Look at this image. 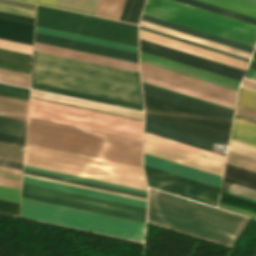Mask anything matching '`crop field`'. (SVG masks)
<instances>
[{
	"mask_svg": "<svg viewBox=\"0 0 256 256\" xmlns=\"http://www.w3.org/2000/svg\"><path fill=\"white\" fill-rule=\"evenodd\" d=\"M0 141L24 146L25 139L14 137V136L0 134Z\"/></svg>",
	"mask_w": 256,
	"mask_h": 256,
	"instance_id": "obj_53",
	"label": "crop field"
},
{
	"mask_svg": "<svg viewBox=\"0 0 256 256\" xmlns=\"http://www.w3.org/2000/svg\"><path fill=\"white\" fill-rule=\"evenodd\" d=\"M250 68L256 69V61H251Z\"/></svg>",
	"mask_w": 256,
	"mask_h": 256,
	"instance_id": "obj_67",
	"label": "crop field"
},
{
	"mask_svg": "<svg viewBox=\"0 0 256 256\" xmlns=\"http://www.w3.org/2000/svg\"><path fill=\"white\" fill-rule=\"evenodd\" d=\"M144 144L223 168L224 163L144 138Z\"/></svg>",
	"mask_w": 256,
	"mask_h": 256,
	"instance_id": "obj_32",
	"label": "crop field"
},
{
	"mask_svg": "<svg viewBox=\"0 0 256 256\" xmlns=\"http://www.w3.org/2000/svg\"><path fill=\"white\" fill-rule=\"evenodd\" d=\"M144 137L148 138V139L158 141V142H161V143H165V144H168V145H171V146H174V147H178V148L190 151V152H194V153H197V154H200V155H203V156H207V157H210V158H213V159H216V160H220V161H223V162L225 161L224 156L217 155V154H214V153H211V152H208V151H204V150H201V149H198V148H195V147H191V146H188V145H185V144H182V143H179V142H175V141H172V140H169V139H166V138H162V137H159V136H156V135H153V134H149V133L145 132Z\"/></svg>",
	"mask_w": 256,
	"mask_h": 256,
	"instance_id": "obj_34",
	"label": "crop field"
},
{
	"mask_svg": "<svg viewBox=\"0 0 256 256\" xmlns=\"http://www.w3.org/2000/svg\"><path fill=\"white\" fill-rule=\"evenodd\" d=\"M237 104L256 110V92L240 88Z\"/></svg>",
	"mask_w": 256,
	"mask_h": 256,
	"instance_id": "obj_45",
	"label": "crop field"
},
{
	"mask_svg": "<svg viewBox=\"0 0 256 256\" xmlns=\"http://www.w3.org/2000/svg\"><path fill=\"white\" fill-rule=\"evenodd\" d=\"M143 1L125 0L119 20L137 24Z\"/></svg>",
	"mask_w": 256,
	"mask_h": 256,
	"instance_id": "obj_36",
	"label": "crop field"
},
{
	"mask_svg": "<svg viewBox=\"0 0 256 256\" xmlns=\"http://www.w3.org/2000/svg\"><path fill=\"white\" fill-rule=\"evenodd\" d=\"M140 24L142 25H145V26H149V27H152V28H155V29H159V30H162V31H165V32H168V33H172V34H175V35H178V36H181V37H185V38H188V39H191V40H195V41H198V42H201V43H204V44H208V45H211V46H214V47H217V48H221V49H224V50H227V51H231V52H234V53H237V54H240V55H244V56H247V57H250V53H247V52H243V51H240V50H237V49H234V48H230V47H227V46H224V45H220V44H217V43H214V42H211V41H207V40H204V39H201V38H198V37H194V36H191V35H188V34H185V33H181V32H178V31H175V30H172V29H168V28H165V27H162V26H158V25H155V24H152V23H149V22H145V21H140Z\"/></svg>",
	"mask_w": 256,
	"mask_h": 256,
	"instance_id": "obj_33",
	"label": "crop field"
},
{
	"mask_svg": "<svg viewBox=\"0 0 256 256\" xmlns=\"http://www.w3.org/2000/svg\"><path fill=\"white\" fill-rule=\"evenodd\" d=\"M143 82L234 109L236 91L140 62Z\"/></svg>",
	"mask_w": 256,
	"mask_h": 256,
	"instance_id": "obj_10",
	"label": "crop field"
},
{
	"mask_svg": "<svg viewBox=\"0 0 256 256\" xmlns=\"http://www.w3.org/2000/svg\"><path fill=\"white\" fill-rule=\"evenodd\" d=\"M0 11L23 15V16L32 17V18H34V12H35L33 10L9 6L5 4H0Z\"/></svg>",
	"mask_w": 256,
	"mask_h": 256,
	"instance_id": "obj_47",
	"label": "crop field"
},
{
	"mask_svg": "<svg viewBox=\"0 0 256 256\" xmlns=\"http://www.w3.org/2000/svg\"><path fill=\"white\" fill-rule=\"evenodd\" d=\"M141 29H144V30H148V31H151V32H154V33H158V34H161V35H164V36H168V37H171V38H174V39H177V40H181V41H184V42H187V43H191V44H194V45H197V46H201V47H204V48H207V49H211V50H214V51H217V52H220V53H224V54H227V55H230V56H234V57H237V58H240V59H244V60H247L248 59H245V58H242V57H239V56H235V55H232V54H229V53H225V52H222V51H219V50H216V49H212V48H209V47H206V46H202V45H199V44H196V43H192V42H189V41H186V40H183V39H179V38H176V37H173V36H169V35H166V34H163V33H160V32H156V31H153V30H150V29H146V28H143V27H140Z\"/></svg>",
	"mask_w": 256,
	"mask_h": 256,
	"instance_id": "obj_54",
	"label": "crop field"
},
{
	"mask_svg": "<svg viewBox=\"0 0 256 256\" xmlns=\"http://www.w3.org/2000/svg\"><path fill=\"white\" fill-rule=\"evenodd\" d=\"M0 3H5V4H10V5H14V6H19V7H24V8L35 10V5L27 4V3H22V2H18V1L0 0Z\"/></svg>",
	"mask_w": 256,
	"mask_h": 256,
	"instance_id": "obj_59",
	"label": "crop field"
},
{
	"mask_svg": "<svg viewBox=\"0 0 256 256\" xmlns=\"http://www.w3.org/2000/svg\"><path fill=\"white\" fill-rule=\"evenodd\" d=\"M245 76L249 77V78L256 79V70L249 68Z\"/></svg>",
	"mask_w": 256,
	"mask_h": 256,
	"instance_id": "obj_63",
	"label": "crop field"
},
{
	"mask_svg": "<svg viewBox=\"0 0 256 256\" xmlns=\"http://www.w3.org/2000/svg\"><path fill=\"white\" fill-rule=\"evenodd\" d=\"M35 38L138 60V54L35 32Z\"/></svg>",
	"mask_w": 256,
	"mask_h": 256,
	"instance_id": "obj_22",
	"label": "crop field"
},
{
	"mask_svg": "<svg viewBox=\"0 0 256 256\" xmlns=\"http://www.w3.org/2000/svg\"><path fill=\"white\" fill-rule=\"evenodd\" d=\"M236 117V116H235ZM236 118H240V117H236ZM240 119H243V118H240ZM244 120H246V119H244ZM247 121H250V120H247ZM250 122H253V121H250ZM254 123H256V122H254Z\"/></svg>",
	"mask_w": 256,
	"mask_h": 256,
	"instance_id": "obj_70",
	"label": "crop field"
},
{
	"mask_svg": "<svg viewBox=\"0 0 256 256\" xmlns=\"http://www.w3.org/2000/svg\"><path fill=\"white\" fill-rule=\"evenodd\" d=\"M143 94L151 96L163 101H167L179 106H183L192 110H196L208 115H212L224 120L232 122L233 113L225 111L219 108H215L206 104H202L196 101H192L183 97H179L173 94H169L160 90H156L150 87L142 85ZM144 104L146 107L153 108L159 111H163L169 114H173L179 117H183L192 121H196L202 124H206L212 127H216L222 130L229 131L231 130V122L224 121L212 116H208L196 111H192L183 107H179L167 102H163L151 97L144 96ZM145 107V116L150 119H154L160 122H164L170 125H174L180 128H184L190 131H194L200 134H204L210 137H214L220 140L227 141L229 140V132L222 131L216 128H212L206 125H202L196 122H192L183 118H179L173 115H169L163 112H159L153 109Z\"/></svg>",
	"mask_w": 256,
	"mask_h": 256,
	"instance_id": "obj_4",
	"label": "crop field"
},
{
	"mask_svg": "<svg viewBox=\"0 0 256 256\" xmlns=\"http://www.w3.org/2000/svg\"><path fill=\"white\" fill-rule=\"evenodd\" d=\"M27 143L142 167V146L30 124Z\"/></svg>",
	"mask_w": 256,
	"mask_h": 256,
	"instance_id": "obj_5",
	"label": "crop field"
},
{
	"mask_svg": "<svg viewBox=\"0 0 256 256\" xmlns=\"http://www.w3.org/2000/svg\"><path fill=\"white\" fill-rule=\"evenodd\" d=\"M0 16L8 17V18H13V19H18V20H22V21H27V22H32V23H34V19H32V18H27V17H23V16H18V15L3 13V12H0Z\"/></svg>",
	"mask_w": 256,
	"mask_h": 256,
	"instance_id": "obj_60",
	"label": "crop field"
},
{
	"mask_svg": "<svg viewBox=\"0 0 256 256\" xmlns=\"http://www.w3.org/2000/svg\"><path fill=\"white\" fill-rule=\"evenodd\" d=\"M176 1L183 2L186 4L192 5V6H196V7L202 8V9H206V10H209V11H212L215 13H219V14H222V15H225L228 17H232V18L256 25V18H253V17H249L246 15L239 14V13H236L233 11H229V10H226L223 8H219V7H216L213 5L202 3V2H199L196 0H176Z\"/></svg>",
	"mask_w": 256,
	"mask_h": 256,
	"instance_id": "obj_31",
	"label": "crop field"
},
{
	"mask_svg": "<svg viewBox=\"0 0 256 256\" xmlns=\"http://www.w3.org/2000/svg\"><path fill=\"white\" fill-rule=\"evenodd\" d=\"M0 95L28 101L29 89L0 83Z\"/></svg>",
	"mask_w": 256,
	"mask_h": 256,
	"instance_id": "obj_44",
	"label": "crop field"
},
{
	"mask_svg": "<svg viewBox=\"0 0 256 256\" xmlns=\"http://www.w3.org/2000/svg\"><path fill=\"white\" fill-rule=\"evenodd\" d=\"M24 147L0 142V158L23 163Z\"/></svg>",
	"mask_w": 256,
	"mask_h": 256,
	"instance_id": "obj_38",
	"label": "crop field"
},
{
	"mask_svg": "<svg viewBox=\"0 0 256 256\" xmlns=\"http://www.w3.org/2000/svg\"><path fill=\"white\" fill-rule=\"evenodd\" d=\"M36 25L138 46L137 26L41 5Z\"/></svg>",
	"mask_w": 256,
	"mask_h": 256,
	"instance_id": "obj_9",
	"label": "crop field"
},
{
	"mask_svg": "<svg viewBox=\"0 0 256 256\" xmlns=\"http://www.w3.org/2000/svg\"><path fill=\"white\" fill-rule=\"evenodd\" d=\"M144 164L178 175H182L191 179L205 182L211 185H220V176L213 175L204 171H200L191 167H187L178 163H174L165 159H161L144 153Z\"/></svg>",
	"mask_w": 256,
	"mask_h": 256,
	"instance_id": "obj_17",
	"label": "crop field"
},
{
	"mask_svg": "<svg viewBox=\"0 0 256 256\" xmlns=\"http://www.w3.org/2000/svg\"><path fill=\"white\" fill-rule=\"evenodd\" d=\"M24 173L147 198V195H145V194L125 191V190H120V189H115V188H110V187H105V186H100V185H95V184H90V183H85V182H81V181H76V180H71V179H66V178L26 171V170H24Z\"/></svg>",
	"mask_w": 256,
	"mask_h": 256,
	"instance_id": "obj_41",
	"label": "crop field"
},
{
	"mask_svg": "<svg viewBox=\"0 0 256 256\" xmlns=\"http://www.w3.org/2000/svg\"><path fill=\"white\" fill-rule=\"evenodd\" d=\"M140 38L148 40L154 43H158L167 47H171L177 50H181L190 54H194L203 58H207L213 61H217L226 65H230L236 68L245 69L247 61L240 60L234 57H230L224 54H220L214 51H210L204 48H200L191 44H187L181 41H177L171 38H167L158 34H154L148 31L140 29Z\"/></svg>",
	"mask_w": 256,
	"mask_h": 256,
	"instance_id": "obj_14",
	"label": "crop field"
},
{
	"mask_svg": "<svg viewBox=\"0 0 256 256\" xmlns=\"http://www.w3.org/2000/svg\"><path fill=\"white\" fill-rule=\"evenodd\" d=\"M34 50L138 72V64L35 42Z\"/></svg>",
	"mask_w": 256,
	"mask_h": 256,
	"instance_id": "obj_16",
	"label": "crop field"
},
{
	"mask_svg": "<svg viewBox=\"0 0 256 256\" xmlns=\"http://www.w3.org/2000/svg\"><path fill=\"white\" fill-rule=\"evenodd\" d=\"M34 27L0 20V38L32 45Z\"/></svg>",
	"mask_w": 256,
	"mask_h": 256,
	"instance_id": "obj_23",
	"label": "crop field"
},
{
	"mask_svg": "<svg viewBox=\"0 0 256 256\" xmlns=\"http://www.w3.org/2000/svg\"><path fill=\"white\" fill-rule=\"evenodd\" d=\"M35 41H37V42H42V43H46V44H51V45H56V46H61V47H65V48L75 49V50H79V51H84V52L94 53V54H98V55H103V56L113 57V58H117V59H122V60H127V61H131V62H136V63H138V61H136V60H131V59H127V58H122V57L112 56V55H108V54H103V53H98V52H94V51H89V50L79 49V48H75V47H70V46L60 45V44L51 43V42H46V41L37 40V39H35Z\"/></svg>",
	"mask_w": 256,
	"mask_h": 256,
	"instance_id": "obj_51",
	"label": "crop field"
},
{
	"mask_svg": "<svg viewBox=\"0 0 256 256\" xmlns=\"http://www.w3.org/2000/svg\"><path fill=\"white\" fill-rule=\"evenodd\" d=\"M144 14L254 47L256 26L173 0H147Z\"/></svg>",
	"mask_w": 256,
	"mask_h": 256,
	"instance_id": "obj_7",
	"label": "crop field"
},
{
	"mask_svg": "<svg viewBox=\"0 0 256 256\" xmlns=\"http://www.w3.org/2000/svg\"><path fill=\"white\" fill-rule=\"evenodd\" d=\"M0 68H4V69H9V70H13V71H18V72H23V73H28V74H30V72H28V71L13 69V68H9V67L0 66Z\"/></svg>",
	"mask_w": 256,
	"mask_h": 256,
	"instance_id": "obj_66",
	"label": "crop field"
},
{
	"mask_svg": "<svg viewBox=\"0 0 256 256\" xmlns=\"http://www.w3.org/2000/svg\"><path fill=\"white\" fill-rule=\"evenodd\" d=\"M25 165L147 190L143 169L27 144Z\"/></svg>",
	"mask_w": 256,
	"mask_h": 256,
	"instance_id": "obj_3",
	"label": "crop field"
},
{
	"mask_svg": "<svg viewBox=\"0 0 256 256\" xmlns=\"http://www.w3.org/2000/svg\"><path fill=\"white\" fill-rule=\"evenodd\" d=\"M155 190L149 189L147 221L151 223L232 247L249 221Z\"/></svg>",
	"mask_w": 256,
	"mask_h": 256,
	"instance_id": "obj_2",
	"label": "crop field"
},
{
	"mask_svg": "<svg viewBox=\"0 0 256 256\" xmlns=\"http://www.w3.org/2000/svg\"><path fill=\"white\" fill-rule=\"evenodd\" d=\"M242 85L245 86V87H249V88H252V89L256 90V84L255 83L248 82V81L244 80Z\"/></svg>",
	"mask_w": 256,
	"mask_h": 256,
	"instance_id": "obj_64",
	"label": "crop field"
},
{
	"mask_svg": "<svg viewBox=\"0 0 256 256\" xmlns=\"http://www.w3.org/2000/svg\"><path fill=\"white\" fill-rule=\"evenodd\" d=\"M22 197L145 222L146 209L23 183Z\"/></svg>",
	"mask_w": 256,
	"mask_h": 256,
	"instance_id": "obj_11",
	"label": "crop field"
},
{
	"mask_svg": "<svg viewBox=\"0 0 256 256\" xmlns=\"http://www.w3.org/2000/svg\"><path fill=\"white\" fill-rule=\"evenodd\" d=\"M140 50L157 56H161L170 60H174L183 64L197 67L206 71H210L219 75H223L232 79L241 80L243 70L226 66L217 62L203 59L194 55H190L181 51L167 48L158 44L140 39Z\"/></svg>",
	"mask_w": 256,
	"mask_h": 256,
	"instance_id": "obj_13",
	"label": "crop field"
},
{
	"mask_svg": "<svg viewBox=\"0 0 256 256\" xmlns=\"http://www.w3.org/2000/svg\"><path fill=\"white\" fill-rule=\"evenodd\" d=\"M20 216L143 242L145 223L22 198ZM142 228V229H140Z\"/></svg>",
	"mask_w": 256,
	"mask_h": 256,
	"instance_id": "obj_6",
	"label": "crop field"
},
{
	"mask_svg": "<svg viewBox=\"0 0 256 256\" xmlns=\"http://www.w3.org/2000/svg\"><path fill=\"white\" fill-rule=\"evenodd\" d=\"M31 87L35 88V89L44 90V91L64 94V95H68V96H73V97H78V98H83V99H88V100H92V101H97V102H102V103H107V104H111V105H116V106H121V107H126V108H131V109L143 111V108L140 105H135V104H130V103H126V102L101 98V97H97V96L77 93V92H73V91L48 87V86L34 84V83H32Z\"/></svg>",
	"mask_w": 256,
	"mask_h": 256,
	"instance_id": "obj_25",
	"label": "crop field"
},
{
	"mask_svg": "<svg viewBox=\"0 0 256 256\" xmlns=\"http://www.w3.org/2000/svg\"><path fill=\"white\" fill-rule=\"evenodd\" d=\"M145 131L153 133L159 136H163L169 139H173L182 143H186L192 146H196L202 149L211 150L213 141L222 144H228L227 142L220 141L214 138H210L204 135H200L194 132H190L184 129H180L174 126H170L164 123H160L154 120L146 118Z\"/></svg>",
	"mask_w": 256,
	"mask_h": 256,
	"instance_id": "obj_15",
	"label": "crop field"
},
{
	"mask_svg": "<svg viewBox=\"0 0 256 256\" xmlns=\"http://www.w3.org/2000/svg\"><path fill=\"white\" fill-rule=\"evenodd\" d=\"M19 204L0 200V212L18 216Z\"/></svg>",
	"mask_w": 256,
	"mask_h": 256,
	"instance_id": "obj_48",
	"label": "crop field"
},
{
	"mask_svg": "<svg viewBox=\"0 0 256 256\" xmlns=\"http://www.w3.org/2000/svg\"><path fill=\"white\" fill-rule=\"evenodd\" d=\"M144 152L148 153V154L158 156V157H161V158H165V159H168V160H171V161H174V162H178V163H181V164H184V165H187V166H191V167H194V168H197V169H200V170H204V171H207V172H210V173H213V174H217V175H220V176L222 174V170H223L222 168H218V167H215V166H212V165H208V164H205V163H202V162H198V161H195V160H192V159H188V158H185V157H182V156H178V155L168 153V152H165V151H162V150H158V149H155V148H152V147H148V146H145V145H144Z\"/></svg>",
	"mask_w": 256,
	"mask_h": 256,
	"instance_id": "obj_24",
	"label": "crop field"
},
{
	"mask_svg": "<svg viewBox=\"0 0 256 256\" xmlns=\"http://www.w3.org/2000/svg\"><path fill=\"white\" fill-rule=\"evenodd\" d=\"M230 143L256 151V147L252 146V145H249V144H245V143H242V142H239V141H235V140H232V139H231Z\"/></svg>",
	"mask_w": 256,
	"mask_h": 256,
	"instance_id": "obj_62",
	"label": "crop field"
},
{
	"mask_svg": "<svg viewBox=\"0 0 256 256\" xmlns=\"http://www.w3.org/2000/svg\"><path fill=\"white\" fill-rule=\"evenodd\" d=\"M22 1H24V0H22Z\"/></svg>",
	"mask_w": 256,
	"mask_h": 256,
	"instance_id": "obj_73",
	"label": "crop field"
},
{
	"mask_svg": "<svg viewBox=\"0 0 256 256\" xmlns=\"http://www.w3.org/2000/svg\"><path fill=\"white\" fill-rule=\"evenodd\" d=\"M245 80H249V81H252V82H255L256 83V80H253V79H249V78H244Z\"/></svg>",
	"mask_w": 256,
	"mask_h": 256,
	"instance_id": "obj_68",
	"label": "crop field"
},
{
	"mask_svg": "<svg viewBox=\"0 0 256 256\" xmlns=\"http://www.w3.org/2000/svg\"><path fill=\"white\" fill-rule=\"evenodd\" d=\"M231 138L256 146V124L235 118Z\"/></svg>",
	"mask_w": 256,
	"mask_h": 256,
	"instance_id": "obj_29",
	"label": "crop field"
},
{
	"mask_svg": "<svg viewBox=\"0 0 256 256\" xmlns=\"http://www.w3.org/2000/svg\"><path fill=\"white\" fill-rule=\"evenodd\" d=\"M22 172L0 167V185L18 188L21 185Z\"/></svg>",
	"mask_w": 256,
	"mask_h": 256,
	"instance_id": "obj_42",
	"label": "crop field"
},
{
	"mask_svg": "<svg viewBox=\"0 0 256 256\" xmlns=\"http://www.w3.org/2000/svg\"><path fill=\"white\" fill-rule=\"evenodd\" d=\"M28 102L0 96V115L26 121Z\"/></svg>",
	"mask_w": 256,
	"mask_h": 256,
	"instance_id": "obj_27",
	"label": "crop field"
},
{
	"mask_svg": "<svg viewBox=\"0 0 256 256\" xmlns=\"http://www.w3.org/2000/svg\"><path fill=\"white\" fill-rule=\"evenodd\" d=\"M26 122L0 116V133L25 138Z\"/></svg>",
	"mask_w": 256,
	"mask_h": 256,
	"instance_id": "obj_37",
	"label": "crop field"
},
{
	"mask_svg": "<svg viewBox=\"0 0 256 256\" xmlns=\"http://www.w3.org/2000/svg\"><path fill=\"white\" fill-rule=\"evenodd\" d=\"M0 48L31 54L32 46L0 39ZM0 49V65L30 71L31 55Z\"/></svg>",
	"mask_w": 256,
	"mask_h": 256,
	"instance_id": "obj_18",
	"label": "crop field"
},
{
	"mask_svg": "<svg viewBox=\"0 0 256 256\" xmlns=\"http://www.w3.org/2000/svg\"><path fill=\"white\" fill-rule=\"evenodd\" d=\"M0 81L29 87L30 75L0 69Z\"/></svg>",
	"mask_w": 256,
	"mask_h": 256,
	"instance_id": "obj_40",
	"label": "crop field"
},
{
	"mask_svg": "<svg viewBox=\"0 0 256 256\" xmlns=\"http://www.w3.org/2000/svg\"><path fill=\"white\" fill-rule=\"evenodd\" d=\"M226 162L230 163V164L240 166V167H243V168H247V169L256 171V166L255 165H251V164L241 162V161H238V160H235V159H231V158H228V157H227Z\"/></svg>",
	"mask_w": 256,
	"mask_h": 256,
	"instance_id": "obj_57",
	"label": "crop field"
},
{
	"mask_svg": "<svg viewBox=\"0 0 256 256\" xmlns=\"http://www.w3.org/2000/svg\"><path fill=\"white\" fill-rule=\"evenodd\" d=\"M31 96L143 119V113L31 90Z\"/></svg>",
	"mask_w": 256,
	"mask_h": 256,
	"instance_id": "obj_20",
	"label": "crop field"
},
{
	"mask_svg": "<svg viewBox=\"0 0 256 256\" xmlns=\"http://www.w3.org/2000/svg\"><path fill=\"white\" fill-rule=\"evenodd\" d=\"M245 1H248V2H251V3H255V4H256V0H245Z\"/></svg>",
	"mask_w": 256,
	"mask_h": 256,
	"instance_id": "obj_69",
	"label": "crop field"
},
{
	"mask_svg": "<svg viewBox=\"0 0 256 256\" xmlns=\"http://www.w3.org/2000/svg\"><path fill=\"white\" fill-rule=\"evenodd\" d=\"M222 191H226L232 194L243 196L249 199L256 200V190L250 189L241 185H237L231 182L224 181L222 182Z\"/></svg>",
	"mask_w": 256,
	"mask_h": 256,
	"instance_id": "obj_43",
	"label": "crop field"
},
{
	"mask_svg": "<svg viewBox=\"0 0 256 256\" xmlns=\"http://www.w3.org/2000/svg\"><path fill=\"white\" fill-rule=\"evenodd\" d=\"M35 31L138 53V51H136V50H131V49H127V48H122V47L103 44V43H99V42L89 41V40H85V39L75 38V37H71V36L61 35V34H57V33L47 32V31H43V30L36 29Z\"/></svg>",
	"mask_w": 256,
	"mask_h": 256,
	"instance_id": "obj_49",
	"label": "crop field"
},
{
	"mask_svg": "<svg viewBox=\"0 0 256 256\" xmlns=\"http://www.w3.org/2000/svg\"><path fill=\"white\" fill-rule=\"evenodd\" d=\"M254 58H256V50H255V53H254V56H253Z\"/></svg>",
	"mask_w": 256,
	"mask_h": 256,
	"instance_id": "obj_71",
	"label": "crop field"
},
{
	"mask_svg": "<svg viewBox=\"0 0 256 256\" xmlns=\"http://www.w3.org/2000/svg\"><path fill=\"white\" fill-rule=\"evenodd\" d=\"M24 175H26V174H24ZM26 176H31V175H26ZM31 177L40 178V179H45V180H50V181H54V182L64 183V184H68V185L83 187V188L92 189V190H97V191H102V192L111 193V194H116V195H120V196L135 198V199L144 200V201L147 200V199H145V198H140V197L125 195V194H120V193H115V192H110V191H105V190H100V189H95V188H90V187H85V186H81V185H76V184H71V183H66V182H61V181H56V180H51V179H46V178H41V177H36V176H31Z\"/></svg>",
	"mask_w": 256,
	"mask_h": 256,
	"instance_id": "obj_52",
	"label": "crop field"
},
{
	"mask_svg": "<svg viewBox=\"0 0 256 256\" xmlns=\"http://www.w3.org/2000/svg\"><path fill=\"white\" fill-rule=\"evenodd\" d=\"M253 60H256V59L253 58Z\"/></svg>",
	"mask_w": 256,
	"mask_h": 256,
	"instance_id": "obj_72",
	"label": "crop field"
},
{
	"mask_svg": "<svg viewBox=\"0 0 256 256\" xmlns=\"http://www.w3.org/2000/svg\"><path fill=\"white\" fill-rule=\"evenodd\" d=\"M36 28L138 50V47H136V46H131V45L116 43V42H112V41H107V40H102V39H97V38H92V37H87V36H82V35L62 32V31L48 29V28H43V27H38V26H36Z\"/></svg>",
	"mask_w": 256,
	"mask_h": 256,
	"instance_id": "obj_46",
	"label": "crop field"
},
{
	"mask_svg": "<svg viewBox=\"0 0 256 256\" xmlns=\"http://www.w3.org/2000/svg\"><path fill=\"white\" fill-rule=\"evenodd\" d=\"M23 182L146 208V202L24 176Z\"/></svg>",
	"mask_w": 256,
	"mask_h": 256,
	"instance_id": "obj_19",
	"label": "crop field"
},
{
	"mask_svg": "<svg viewBox=\"0 0 256 256\" xmlns=\"http://www.w3.org/2000/svg\"><path fill=\"white\" fill-rule=\"evenodd\" d=\"M24 169L147 194V191H145V190L120 186V185H116V184H111V183H106V182H101V181H96V180H91V179H86V178L61 174V173H56V172H52V171H47V170H42V169H37V168H32V167H27V166H25Z\"/></svg>",
	"mask_w": 256,
	"mask_h": 256,
	"instance_id": "obj_39",
	"label": "crop field"
},
{
	"mask_svg": "<svg viewBox=\"0 0 256 256\" xmlns=\"http://www.w3.org/2000/svg\"><path fill=\"white\" fill-rule=\"evenodd\" d=\"M0 166L22 171L23 164L0 159Z\"/></svg>",
	"mask_w": 256,
	"mask_h": 256,
	"instance_id": "obj_56",
	"label": "crop field"
},
{
	"mask_svg": "<svg viewBox=\"0 0 256 256\" xmlns=\"http://www.w3.org/2000/svg\"><path fill=\"white\" fill-rule=\"evenodd\" d=\"M0 19L8 20V21H13V22H18V23H22V24H27V25H32V26H34V24H32V23L22 22V21H18V20H13V19H8V18H3V17H0Z\"/></svg>",
	"mask_w": 256,
	"mask_h": 256,
	"instance_id": "obj_65",
	"label": "crop field"
},
{
	"mask_svg": "<svg viewBox=\"0 0 256 256\" xmlns=\"http://www.w3.org/2000/svg\"><path fill=\"white\" fill-rule=\"evenodd\" d=\"M149 186L216 206L219 188L144 165Z\"/></svg>",
	"mask_w": 256,
	"mask_h": 256,
	"instance_id": "obj_12",
	"label": "crop field"
},
{
	"mask_svg": "<svg viewBox=\"0 0 256 256\" xmlns=\"http://www.w3.org/2000/svg\"><path fill=\"white\" fill-rule=\"evenodd\" d=\"M124 0H98L95 16L119 19Z\"/></svg>",
	"mask_w": 256,
	"mask_h": 256,
	"instance_id": "obj_30",
	"label": "crop field"
},
{
	"mask_svg": "<svg viewBox=\"0 0 256 256\" xmlns=\"http://www.w3.org/2000/svg\"><path fill=\"white\" fill-rule=\"evenodd\" d=\"M224 180L256 189V172L234 165H225Z\"/></svg>",
	"mask_w": 256,
	"mask_h": 256,
	"instance_id": "obj_26",
	"label": "crop field"
},
{
	"mask_svg": "<svg viewBox=\"0 0 256 256\" xmlns=\"http://www.w3.org/2000/svg\"><path fill=\"white\" fill-rule=\"evenodd\" d=\"M32 82L142 105L138 73L36 51Z\"/></svg>",
	"mask_w": 256,
	"mask_h": 256,
	"instance_id": "obj_1",
	"label": "crop field"
},
{
	"mask_svg": "<svg viewBox=\"0 0 256 256\" xmlns=\"http://www.w3.org/2000/svg\"><path fill=\"white\" fill-rule=\"evenodd\" d=\"M25 1L54 6V7L57 6V2H58V0H25Z\"/></svg>",
	"mask_w": 256,
	"mask_h": 256,
	"instance_id": "obj_61",
	"label": "crop field"
},
{
	"mask_svg": "<svg viewBox=\"0 0 256 256\" xmlns=\"http://www.w3.org/2000/svg\"><path fill=\"white\" fill-rule=\"evenodd\" d=\"M235 115L256 121V111L242 106L237 105Z\"/></svg>",
	"mask_w": 256,
	"mask_h": 256,
	"instance_id": "obj_50",
	"label": "crop field"
},
{
	"mask_svg": "<svg viewBox=\"0 0 256 256\" xmlns=\"http://www.w3.org/2000/svg\"><path fill=\"white\" fill-rule=\"evenodd\" d=\"M229 150L256 158V152L247 150L238 146H234L230 144Z\"/></svg>",
	"mask_w": 256,
	"mask_h": 256,
	"instance_id": "obj_55",
	"label": "crop field"
},
{
	"mask_svg": "<svg viewBox=\"0 0 256 256\" xmlns=\"http://www.w3.org/2000/svg\"><path fill=\"white\" fill-rule=\"evenodd\" d=\"M28 122L142 145L140 140H135L131 138H126V137L116 136L112 134L97 132L93 130L78 128L74 126L59 124L55 122L40 120L36 118L29 117Z\"/></svg>",
	"mask_w": 256,
	"mask_h": 256,
	"instance_id": "obj_28",
	"label": "crop field"
},
{
	"mask_svg": "<svg viewBox=\"0 0 256 256\" xmlns=\"http://www.w3.org/2000/svg\"><path fill=\"white\" fill-rule=\"evenodd\" d=\"M141 19L145 20V21L155 23V24H158V25H162V26H165V27H168V28H172V29H175V30H178V31H181V32H185V33H188V34H191V35H194V36H198V37H201V38H204V39H207V40H211V41H214V42H217V43H220V44H224V45H227V46H230V47H234V48H237V49H240V50H243V51H247V52H250V53L253 50V47H250V46H246V45H243V44H240V43H236V42H233V41H230V40H226V39H223V38H220V37H217V36H213V35H210V34H207V33H203V32H200V31H197V30H194V29H190V28H187V27H184V26H180V25H177V24H174V23H170V22L161 20V19H157V18H154V17H151V16H147V15H144V14L142 15Z\"/></svg>",
	"mask_w": 256,
	"mask_h": 256,
	"instance_id": "obj_21",
	"label": "crop field"
},
{
	"mask_svg": "<svg viewBox=\"0 0 256 256\" xmlns=\"http://www.w3.org/2000/svg\"><path fill=\"white\" fill-rule=\"evenodd\" d=\"M29 116L142 140L143 122L31 98Z\"/></svg>",
	"mask_w": 256,
	"mask_h": 256,
	"instance_id": "obj_8",
	"label": "crop field"
},
{
	"mask_svg": "<svg viewBox=\"0 0 256 256\" xmlns=\"http://www.w3.org/2000/svg\"><path fill=\"white\" fill-rule=\"evenodd\" d=\"M228 157H232V158L242 160V161H245V162L252 163V164L256 165V159L251 158V157H247V156H244V155H240V154H237V153H234V152L229 151Z\"/></svg>",
	"mask_w": 256,
	"mask_h": 256,
	"instance_id": "obj_58",
	"label": "crop field"
},
{
	"mask_svg": "<svg viewBox=\"0 0 256 256\" xmlns=\"http://www.w3.org/2000/svg\"><path fill=\"white\" fill-rule=\"evenodd\" d=\"M96 4L97 0H59L57 7L93 15Z\"/></svg>",
	"mask_w": 256,
	"mask_h": 256,
	"instance_id": "obj_35",
	"label": "crop field"
}]
</instances>
